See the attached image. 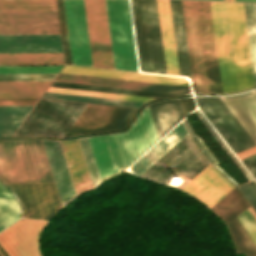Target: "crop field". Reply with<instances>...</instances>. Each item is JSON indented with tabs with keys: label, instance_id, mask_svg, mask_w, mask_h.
I'll return each instance as SVG.
<instances>
[{
	"label": "crop field",
	"instance_id": "obj_1",
	"mask_svg": "<svg viewBox=\"0 0 256 256\" xmlns=\"http://www.w3.org/2000/svg\"><path fill=\"white\" fill-rule=\"evenodd\" d=\"M194 92L230 93L253 87L243 4L181 1Z\"/></svg>",
	"mask_w": 256,
	"mask_h": 256
},
{
	"label": "crop field",
	"instance_id": "obj_2",
	"mask_svg": "<svg viewBox=\"0 0 256 256\" xmlns=\"http://www.w3.org/2000/svg\"><path fill=\"white\" fill-rule=\"evenodd\" d=\"M5 183L53 182L40 140H0Z\"/></svg>",
	"mask_w": 256,
	"mask_h": 256
},
{
	"label": "crop field",
	"instance_id": "obj_3",
	"mask_svg": "<svg viewBox=\"0 0 256 256\" xmlns=\"http://www.w3.org/2000/svg\"><path fill=\"white\" fill-rule=\"evenodd\" d=\"M140 71L166 74L156 0H130Z\"/></svg>",
	"mask_w": 256,
	"mask_h": 256
},
{
	"label": "crop field",
	"instance_id": "obj_4",
	"mask_svg": "<svg viewBox=\"0 0 256 256\" xmlns=\"http://www.w3.org/2000/svg\"><path fill=\"white\" fill-rule=\"evenodd\" d=\"M85 106L39 100L14 136L63 137Z\"/></svg>",
	"mask_w": 256,
	"mask_h": 256
},
{
	"label": "crop field",
	"instance_id": "obj_5",
	"mask_svg": "<svg viewBox=\"0 0 256 256\" xmlns=\"http://www.w3.org/2000/svg\"><path fill=\"white\" fill-rule=\"evenodd\" d=\"M208 164L187 134L141 176L165 184L176 173L191 180Z\"/></svg>",
	"mask_w": 256,
	"mask_h": 256
},
{
	"label": "crop field",
	"instance_id": "obj_6",
	"mask_svg": "<svg viewBox=\"0 0 256 256\" xmlns=\"http://www.w3.org/2000/svg\"><path fill=\"white\" fill-rule=\"evenodd\" d=\"M115 69L137 71L128 0H105Z\"/></svg>",
	"mask_w": 256,
	"mask_h": 256
},
{
	"label": "crop field",
	"instance_id": "obj_7",
	"mask_svg": "<svg viewBox=\"0 0 256 256\" xmlns=\"http://www.w3.org/2000/svg\"><path fill=\"white\" fill-rule=\"evenodd\" d=\"M197 103L198 108L233 152L237 153L255 145L219 97H198Z\"/></svg>",
	"mask_w": 256,
	"mask_h": 256
},
{
	"label": "crop field",
	"instance_id": "obj_8",
	"mask_svg": "<svg viewBox=\"0 0 256 256\" xmlns=\"http://www.w3.org/2000/svg\"><path fill=\"white\" fill-rule=\"evenodd\" d=\"M84 1L93 66L114 69L105 1Z\"/></svg>",
	"mask_w": 256,
	"mask_h": 256
},
{
	"label": "crop field",
	"instance_id": "obj_9",
	"mask_svg": "<svg viewBox=\"0 0 256 256\" xmlns=\"http://www.w3.org/2000/svg\"><path fill=\"white\" fill-rule=\"evenodd\" d=\"M113 136L125 169L158 140L148 107L128 131Z\"/></svg>",
	"mask_w": 256,
	"mask_h": 256
},
{
	"label": "crop field",
	"instance_id": "obj_10",
	"mask_svg": "<svg viewBox=\"0 0 256 256\" xmlns=\"http://www.w3.org/2000/svg\"><path fill=\"white\" fill-rule=\"evenodd\" d=\"M9 185L24 207V217L49 220L60 208L53 183Z\"/></svg>",
	"mask_w": 256,
	"mask_h": 256
},
{
	"label": "crop field",
	"instance_id": "obj_11",
	"mask_svg": "<svg viewBox=\"0 0 256 256\" xmlns=\"http://www.w3.org/2000/svg\"><path fill=\"white\" fill-rule=\"evenodd\" d=\"M72 64L92 66L83 0H63Z\"/></svg>",
	"mask_w": 256,
	"mask_h": 256
},
{
	"label": "crop field",
	"instance_id": "obj_12",
	"mask_svg": "<svg viewBox=\"0 0 256 256\" xmlns=\"http://www.w3.org/2000/svg\"><path fill=\"white\" fill-rule=\"evenodd\" d=\"M59 34L56 12L0 13V35Z\"/></svg>",
	"mask_w": 256,
	"mask_h": 256
},
{
	"label": "crop field",
	"instance_id": "obj_13",
	"mask_svg": "<svg viewBox=\"0 0 256 256\" xmlns=\"http://www.w3.org/2000/svg\"><path fill=\"white\" fill-rule=\"evenodd\" d=\"M46 222L19 220L0 233V245L9 256H40L37 236Z\"/></svg>",
	"mask_w": 256,
	"mask_h": 256
},
{
	"label": "crop field",
	"instance_id": "obj_14",
	"mask_svg": "<svg viewBox=\"0 0 256 256\" xmlns=\"http://www.w3.org/2000/svg\"><path fill=\"white\" fill-rule=\"evenodd\" d=\"M234 187L210 164L182 189L210 208Z\"/></svg>",
	"mask_w": 256,
	"mask_h": 256
},
{
	"label": "crop field",
	"instance_id": "obj_15",
	"mask_svg": "<svg viewBox=\"0 0 256 256\" xmlns=\"http://www.w3.org/2000/svg\"><path fill=\"white\" fill-rule=\"evenodd\" d=\"M55 81L97 85V86H107V87H117V88H127V89H137V90H146V91H156V92H166V93H176V94L191 93L189 87L161 85V84H153V83L99 78V77L64 74V73H59Z\"/></svg>",
	"mask_w": 256,
	"mask_h": 256
},
{
	"label": "crop field",
	"instance_id": "obj_16",
	"mask_svg": "<svg viewBox=\"0 0 256 256\" xmlns=\"http://www.w3.org/2000/svg\"><path fill=\"white\" fill-rule=\"evenodd\" d=\"M62 52L59 35L0 36V53Z\"/></svg>",
	"mask_w": 256,
	"mask_h": 256
},
{
	"label": "crop field",
	"instance_id": "obj_17",
	"mask_svg": "<svg viewBox=\"0 0 256 256\" xmlns=\"http://www.w3.org/2000/svg\"><path fill=\"white\" fill-rule=\"evenodd\" d=\"M62 206L75 192L58 141L42 140Z\"/></svg>",
	"mask_w": 256,
	"mask_h": 256
},
{
	"label": "crop field",
	"instance_id": "obj_18",
	"mask_svg": "<svg viewBox=\"0 0 256 256\" xmlns=\"http://www.w3.org/2000/svg\"><path fill=\"white\" fill-rule=\"evenodd\" d=\"M101 179L120 172L121 162L112 135L88 138ZM123 170V169H122Z\"/></svg>",
	"mask_w": 256,
	"mask_h": 256
},
{
	"label": "crop field",
	"instance_id": "obj_19",
	"mask_svg": "<svg viewBox=\"0 0 256 256\" xmlns=\"http://www.w3.org/2000/svg\"><path fill=\"white\" fill-rule=\"evenodd\" d=\"M76 195L91 189L92 184L77 140L60 142Z\"/></svg>",
	"mask_w": 256,
	"mask_h": 256
},
{
	"label": "crop field",
	"instance_id": "obj_20",
	"mask_svg": "<svg viewBox=\"0 0 256 256\" xmlns=\"http://www.w3.org/2000/svg\"><path fill=\"white\" fill-rule=\"evenodd\" d=\"M61 72L189 86L186 81V78H179V77L99 70V69L72 67V66H64Z\"/></svg>",
	"mask_w": 256,
	"mask_h": 256
},
{
	"label": "crop field",
	"instance_id": "obj_21",
	"mask_svg": "<svg viewBox=\"0 0 256 256\" xmlns=\"http://www.w3.org/2000/svg\"><path fill=\"white\" fill-rule=\"evenodd\" d=\"M157 2L165 55L166 71L167 74L179 76L169 3L168 0H157Z\"/></svg>",
	"mask_w": 256,
	"mask_h": 256
},
{
	"label": "crop field",
	"instance_id": "obj_22",
	"mask_svg": "<svg viewBox=\"0 0 256 256\" xmlns=\"http://www.w3.org/2000/svg\"><path fill=\"white\" fill-rule=\"evenodd\" d=\"M220 98L256 143V106L246 93Z\"/></svg>",
	"mask_w": 256,
	"mask_h": 256
},
{
	"label": "crop field",
	"instance_id": "obj_23",
	"mask_svg": "<svg viewBox=\"0 0 256 256\" xmlns=\"http://www.w3.org/2000/svg\"><path fill=\"white\" fill-rule=\"evenodd\" d=\"M158 138L184 118L179 100L148 105Z\"/></svg>",
	"mask_w": 256,
	"mask_h": 256
},
{
	"label": "crop field",
	"instance_id": "obj_24",
	"mask_svg": "<svg viewBox=\"0 0 256 256\" xmlns=\"http://www.w3.org/2000/svg\"><path fill=\"white\" fill-rule=\"evenodd\" d=\"M169 3H170L179 73H180V76L191 77L187 47H186L184 25H183V18H182V11H181V4H180V1H174V0H169Z\"/></svg>",
	"mask_w": 256,
	"mask_h": 256
},
{
	"label": "crop field",
	"instance_id": "obj_25",
	"mask_svg": "<svg viewBox=\"0 0 256 256\" xmlns=\"http://www.w3.org/2000/svg\"><path fill=\"white\" fill-rule=\"evenodd\" d=\"M51 81H0V99H39Z\"/></svg>",
	"mask_w": 256,
	"mask_h": 256
},
{
	"label": "crop field",
	"instance_id": "obj_26",
	"mask_svg": "<svg viewBox=\"0 0 256 256\" xmlns=\"http://www.w3.org/2000/svg\"><path fill=\"white\" fill-rule=\"evenodd\" d=\"M186 134L187 133L182 123H180L138 161H136L130 168V171L140 175Z\"/></svg>",
	"mask_w": 256,
	"mask_h": 256
},
{
	"label": "crop field",
	"instance_id": "obj_27",
	"mask_svg": "<svg viewBox=\"0 0 256 256\" xmlns=\"http://www.w3.org/2000/svg\"><path fill=\"white\" fill-rule=\"evenodd\" d=\"M111 109L107 106L87 105L64 137L95 133Z\"/></svg>",
	"mask_w": 256,
	"mask_h": 256
},
{
	"label": "crop field",
	"instance_id": "obj_28",
	"mask_svg": "<svg viewBox=\"0 0 256 256\" xmlns=\"http://www.w3.org/2000/svg\"><path fill=\"white\" fill-rule=\"evenodd\" d=\"M248 204L234 188L223 199H221L211 210L222 220L229 223L234 219Z\"/></svg>",
	"mask_w": 256,
	"mask_h": 256
},
{
	"label": "crop field",
	"instance_id": "obj_29",
	"mask_svg": "<svg viewBox=\"0 0 256 256\" xmlns=\"http://www.w3.org/2000/svg\"><path fill=\"white\" fill-rule=\"evenodd\" d=\"M32 106H0V136H12Z\"/></svg>",
	"mask_w": 256,
	"mask_h": 256
},
{
	"label": "crop field",
	"instance_id": "obj_30",
	"mask_svg": "<svg viewBox=\"0 0 256 256\" xmlns=\"http://www.w3.org/2000/svg\"><path fill=\"white\" fill-rule=\"evenodd\" d=\"M56 11L55 0H0V12Z\"/></svg>",
	"mask_w": 256,
	"mask_h": 256
},
{
	"label": "crop field",
	"instance_id": "obj_31",
	"mask_svg": "<svg viewBox=\"0 0 256 256\" xmlns=\"http://www.w3.org/2000/svg\"><path fill=\"white\" fill-rule=\"evenodd\" d=\"M8 63H63L62 53L0 54V64Z\"/></svg>",
	"mask_w": 256,
	"mask_h": 256
},
{
	"label": "crop field",
	"instance_id": "obj_32",
	"mask_svg": "<svg viewBox=\"0 0 256 256\" xmlns=\"http://www.w3.org/2000/svg\"><path fill=\"white\" fill-rule=\"evenodd\" d=\"M20 206V205H19ZM11 192L0 184V222L6 227L19 219L20 208ZM0 223V231L6 228Z\"/></svg>",
	"mask_w": 256,
	"mask_h": 256
},
{
	"label": "crop field",
	"instance_id": "obj_33",
	"mask_svg": "<svg viewBox=\"0 0 256 256\" xmlns=\"http://www.w3.org/2000/svg\"><path fill=\"white\" fill-rule=\"evenodd\" d=\"M42 98L138 108L143 103L45 92Z\"/></svg>",
	"mask_w": 256,
	"mask_h": 256
},
{
	"label": "crop field",
	"instance_id": "obj_34",
	"mask_svg": "<svg viewBox=\"0 0 256 256\" xmlns=\"http://www.w3.org/2000/svg\"><path fill=\"white\" fill-rule=\"evenodd\" d=\"M51 86L72 88V89H81V90H90V91H99V92H108V93H117V94H126V95H135V96H144V97H153V98H160V97L176 95V94L146 92V91H137V90H127V89L97 87V86H88V85L58 83V82H53Z\"/></svg>",
	"mask_w": 256,
	"mask_h": 256
},
{
	"label": "crop field",
	"instance_id": "obj_35",
	"mask_svg": "<svg viewBox=\"0 0 256 256\" xmlns=\"http://www.w3.org/2000/svg\"><path fill=\"white\" fill-rule=\"evenodd\" d=\"M136 111L113 107L96 133L124 128Z\"/></svg>",
	"mask_w": 256,
	"mask_h": 256
},
{
	"label": "crop field",
	"instance_id": "obj_36",
	"mask_svg": "<svg viewBox=\"0 0 256 256\" xmlns=\"http://www.w3.org/2000/svg\"><path fill=\"white\" fill-rule=\"evenodd\" d=\"M244 7L249 37L254 83L256 86V5L244 4Z\"/></svg>",
	"mask_w": 256,
	"mask_h": 256
},
{
	"label": "crop field",
	"instance_id": "obj_37",
	"mask_svg": "<svg viewBox=\"0 0 256 256\" xmlns=\"http://www.w3.org/2000/svg\"><path fill=\"white\" fill-rule=\"evenodd\" d=\"M47 91L59 92V93H68V94H77V95H86V96L105 97V98H114V99H123V100H132V101H141V102H146L150 99H153V98H144V97H135V96H126V95H117V94H108V93L63 89V88H54V87H49Z\"/></svg>",
	"mask_w": 256,
	"mask_h": 256
},
{
	"label": "crop field",
	"instance_id": "obj_38",
	"mask_svg": "<svg viewBox=\"0 0 256 256\" xmlns=\"http://www.w3.org/2000/svg\"><path fill=\"white\" fill-rule=\"evenodd\" d=\"M236 240L240 244L244 253L248 256H256V248L253 246L251 240L242 230L241 225L236 220V218L228 225Z\"/></svg>",
	"mask_w": 256,
	"mask_h": 256
},
{
	"label": "crop field",
	"instance_id": "obj_39",
	"mask_svg": "<svg viewBox=\"0 0 256 256\" xmlns=\"http://www.w3.org/2000/svg\"><path fill=\"white\" fill-rule=\"evenodd\" d=\"M62 66H7L0 67L2 73H58Z\"/></svg>",
	"mask_w": 256,
	"mask_h": 256
},
{
	"label": "crop field",
	"instance_id": "obj_40",
	"mask_svg": "<svg viewBox=\"0 0 256 256\" xmlns=\"http://www.w3.org/2000/svg\"><path fill=\"white\" fill-rule=\"evenodd\" d=\"M78 141H79V144H80V147H81V150H82L85 162H86V166H87L93 187H95L101 181L98 176V172H97V169L95 166V162H94V159L92 156V152H91V149L89 146L88 139L85 138V139H80Z\"/></svg>",
	"mask_w": 256,
	"mask_h": 256
},
{
	"label": "crop field",
	"instance_id": "obj_41",
	"mask_svg": "<svg viewBox=\"0 0 256 256\" xmlns=\"http://www.w3.org/2000/svg\"><path fill=\"white\" fill-rule=\"evenodd\" d=\"M237 219L256 245V220L254 219L248 208L244 210L237 217Z\"/></svg>",
	"mask_w": 256,
	"mask_h": 256
},
{
	"label": "crop field",
	"instance_id": "obj_42",
	"mask_svg": "<svg viewBox=\"0 0 256 256\" xmlns=\"http://www.w3.org/2000/svg\"><path fill=\"white\" fill-rule=\"evenodd\" d=\"M56 74H3L0 80H53Z\"/></svg>",
	"mask_w": 256,
	"mask_h": 256
},
{
	"label": "crop field",
	"instance_id": "obj_43",
	"mask_svg": "<svg viewBox=\"0 0 256 256\" xmlns=\"http://www.w3.org/2000/svg\"><path fill=\"white\" fill-rule=\"evenodd\" d=\"M66 64H71L62 0H57Z\"/></svg>",
	"mask_w": 256,
	"mask_h": 256
},
{
	"label": "crop field",
	"instance_id": "obj_44",
	"mask_svg": "<svg viewBox=\"0 0 256 256\" xmlns=\"http://www.w3.org/2000/svg\"><path fill=\"white\" fill-rule=\"evenodd\" d=\"M237 188L246 197V199L256 212V182L253 181Z\"/></svg>",
	"mask_w": 256,
	"mask_h": 256
},
{
	"label": "crop field",
	"instance_id": "obj_45",
	"mask_svg": "<svg viewBox=\"0 0 256 256\" xmlns=\"http://www.w3.org/2000/svg\"><path fill=\"white\" fill-rule=\"evenodd\" d=\"M195 112L201 118V120L204 122V124L208 127V129L212 132V134L215 136V138L219 141V143L223 146V148L230 155V157L234 160V162L241 169V171L245 174V176L248 178V180L251 181L252 177L250 178V176L247 174V172L244 170V168L240 165V163L237 161V159L233 156V154L230 152V150L227 148V146L223 143V141L220 139V137L217 135V133L213 130V128L210 126V124L206 121V119L203 117V115L200 113V111L197 110Z\"/></svg>",
	"mask_w": 256,
	"mask_h": 256
},
{
	"label": "crop field",
	"instance_id": "obj_46",
	"mask_svg": "<svg viewBox=\"0 0 256 256\" xmlns=\"http://www.w3.org/2000/svg\"><path fill=\"white\" fill-rule=\"evenodd\" d=\"M183 122L191 136V138L194 140V142L197 144V146L201 149V151L204 153V155L209 159V161L215 165L217 164V161L213 158V156L209 153V151L206 149V147L201 143V141L194 135L192 130L190 129L186 119H183Z\"/></svg>",
	"mask_w": 256,
	"mask_h": 256
},
{
	"label": "crop field",
	"instance_id": "obj_47",
	"mask_svg": "<svg viewBox=\"0 0 256 256\" xmlns=\"http://www.w3.org/2000/svg\"><path fill=\"white\" fill-rule=\"evenodd\" d=\"M241 162L256 180V155L243 159Z\"/></svg>",
	"mask_w": 256,
	"mask_h": 256
},
{
	"label": "crop field",
	"instance_id": "obj_48",
	"mask_svg": "<svg viewBox=\"0 0 256 256\" xmlns=\"http://www.w3.org/2000/svg\"><path fill=\"white\" fill-rule=\"evenodd\" d=\"M181 106H182V110L184 113V116L189 113L192 109H194V104H193V100L192 98H184V99H179Z\"/></svg>",
	"mask_w": 256,
	"mask_h": 256
},
{
	"label": "crop field",
	"instance_id": "obj_49",
	"mask_svg": "<svg viewBox=\"0 0 256 256\" xmlns=\"http://www.w3.org/2000/svg\"><path fill=\"white\" fill-rule=\"evenodd\" d=\"M36 101H0V105H34Z\"/></svg>",
	"mask_w": 256,
	"mask_h": 256
},
{
	"label": "crop field",
	"instance_id": "obj_50",
	"mask_svg": "<svg viewBox=\"0 0 256 256\" xmlns=\"http://www.w3.org/2000/svg\"><path fill=\"white\" fill-rule=\"evenodd\" d=\"M255 153H256V147H255V148H252V149H250V150H248V151H245V152H243V153H240V154H238V155H236V156L238 157L239 160H241V159L246 158V157H248V156H251V155H253V154H255Z\"/></svg>",
	"mask_w": 256,
	"mask_h": 256
},
{
	"label": "crop field",
	"instance_id": "obj_51",
	"mask_svg": "<svg viewBox=\"0 0 256 256\" xmlns=\"http://www.w3.org/2000/svg\"><path fill=\"white\" fill-rule=\"evenodd\" d=\"M247 94L251 98V100L254 102V104L256 105V91L253 90V91L247 92Z\"/></svg>",
	"mask_w": 256,
	"mask_h": 256
},
{
	"label": "crop field",
	"instance_id": "obj_52",
	"mask_svg": "<svg viewBox=\"0 0 256 256\" xmlns=\"http://www.w3.org/2000/svg\"><path fill=\"white\" fill-rule=\"evenodd\" d=\"M215 168L221 173L223 174L227 179H229L234 185H237L233 180H231L223 171H221L217 166H215Z\"/></svg>",
	"mask_w": 256,
	"mask_h": 256
},
{
	"label": "crop field",
	"instance_id": "obj_53",
	"mask_svg": "<svg viewBox=\"0 0 256 256\" xmlns=\"http://www.w3.org/2000/svg\"><path fill=\"white\" fill-rule=\"evenodd\" d=\"M231 1H234V0H231ZM235 1L256 2V0H235Z\"/></svg>",
	"mask_w": 256,
	"mask_h": 256
},
{
	"label": "crop field",
	"instance_id": "obj_54",
	"mask_svg": "<svg viewBox=\"0 0 256 256\" xmlns=\"http://www.w3.org/2000/svg\"><path fill=\"white\" fill-rule=\"evenodd\" d=\"M0 256H5L4 253L2 252L1 248H0Z\"/></svg>",
	"mask_w": 256,
	"mask_h": 256
},
{
	"label": "crop field",
	"instance_id": "obj_55",
	"mask_svg": "<svg viewBox=\"0 0 256 256\" xmlns=\"http://www.w3.org/2000/svg\"><path fill=\"white\" fill-rule=\"evenodd\" d=\"M215 1H224V0H215ZM225 1H228V0H225Z\"/></svg>",
	"mask_w": 256,
	"mask_h": 256
}]
</instances>
